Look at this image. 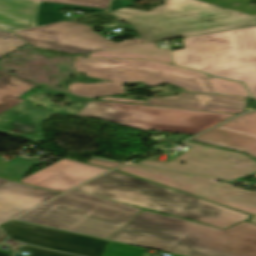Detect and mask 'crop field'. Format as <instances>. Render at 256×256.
I'll use <instances>...</instances> for the list:
<instances>
[{"label": "crop field", "instance_id": "crop-field-12", "mask_svg": "<svg viewBox=\"0 0 256 256\" xmlns=\"http://www.w3.org/2000/svg\"><path fill=\"white\" fill-rule=\"evenodd\" d=\"M8 237L81 256H102L109 241L11 220L3 226Z\"/></svg>", "mask_w": 256, "mask_h": 256}, {"label": "crop field", "instance_id": "crop-field-1", "mask_svg": "<svg viewBox=\"0 0 256 256\" xmlns=\"http://www.w3.org/2000/svg\"><path fill=\"white\" fill-rule=\"evenodd\" d=\"M108 239L186 256H256V226L226 231L144 210Z\"/></svg>", "mask_w": 256, "mask_h": 256}, {"label": "crop field", "instance_id": "crop-field-15", "mask_svg": "<svg viewBox=\"0 0 256 256\" xmlns=\"http://www.w3.org/2000/svg\"><path fill=\"white\" fill-rule=\"evenodd\" d=\"M41 1L107 9L110 0H0V31L36 26Z\"/></svg>", "mask_w": 256, "mask_h": 256}, {"label": "crop field", "instance_id": "crop-field-13", "mask_svg": "<svg viewBox=\"0 0 256 256\" xmlns=\"http://www.w3.org/2000/svg\"><path fill=\"white\" fill-rule=\"evenodd\" d=\"M190 141L244 152L256 158V112L241 115Z\"/></svg>", "mask_w": 256, "mask_h": 256}, {"label": "crop field", "instance_id": "crop-field-18", "mask_svg": "<svg viewBox=\"0 0 256 256\" xmlns=\"http://www.w3.org/2000/svg\"><path fill=\"white\" fill-rule=\"evenodd\" d=\"M87 57L153 59L172 64L169 49L159 50L155 42L93 52Z\"/></svg>", "mask_w": 256, "mask_h": 256}, {"label": "crop field", "instance_id": "crop-field-28", "mask_svg": "<svg viewBox=\"0 0 256 256\" xmlns=\"http://www.w3.org/2000/svg\"><path fill=\"white\" fill-rule=\"evenodd\" d=\"M7 181H9V180H5V179H1V178H0V185L3 184V183H5V182H7Z\"/></svg>", "mask_w": 256, "mask_h": 256}, {"label": "crop field", "instance_id": "crop-field-7", "mask_svg": "<svg viewBox=\"0 0 256 256\" xmlns=\"http://www.w3.org/2000/svg\"><path fill=\"white\" fill-rule=\"evenodd\" d=\"M144 131L195 135L235 115L90 101L76 114Z\"/></svg>", "mask_w": 256, "mask_h": 256}, {"label": "crop field", "instance_id": "crop-field-29", "mask_svg": "<svg viewBox=\"0 0 256 256\" xmlns=\"http://www.w3.org/2000/svg\"><path fill=\"white\" fill-rule=\"evenodd\" d=\"M254 175H255V174H254ZM254 177H256V175H255Z\"/></svg>", "mask_w": 256, "mask_h": 256}, {"label": "crop field", "instance_id": "crop-field-25", "mask_svg": "<svg viewBox=\"0 0 256 256\" xmlns=\"http://www.w3.org/2000/svg\"><path fill=\"white\" fill-rule=\"evenodd\" d=\"M116 26H120V23L119 22L111 23V24H108V25H105V26H100L98 28L102 29V28L109 27L108 30H111V28L116 27Z\"/></svg>", "mask_w": 256, "mask_h": 256}, {"label": "crop field", "instance_id": "crop-field-5", "mask_svg": "<svg viewBox=\"0 0 256 256\" xmlns=\"http://www.w3.org/2000/svg\"><path fill=\"white\" fill-rule=\"evenodd\" d=\"M175 64L244 82L256 98V27L183 38Z\"/></svg>", "mask_w": 256, "mask_h": 256}, {"label": "crop field", "instance_id": "crop-field-3", "mask_svg": "<svg viewBox=\"0 0 256 256\" xmlns=\"http://www.w3.org/2000/svg\"><path fill=\"white\" fill-rule=\"evenodd\" d=\"M151 12L122 8L111 13L129 22L145 43L256 26V16L197 0H163Z\"/></svg>", "mask_w": 256, "mask_h": 256}, {"label": "crop field", "instance_id": "crop-field-9", "mask_svg": "<svg viewBox=\"0 0 256 256\" xmlns=\"http://www.w3.org/2000/svg\"><path fill=\"white\" fill-rule=\"evenodd\" d=\"M36 86L0 71V133L34 143L44 140L42 124L55 113L34 107L19 98Z\"/></svg>", "mask_w": 256, "mask_h": 256}, {"label": "crop field", "instance_id": "crop-field-21", "mask_svg": "<svg viewBox=\"0 0 256 256\" xmlns=\"http://www.w3.org/2000/svg\"><path fill=\"white\" fill-rule=\"evenodd\" d=\"M210 80L220 94L248 97L241 84L215 78H210Z\"/></svg>", "mask_w": 256, "mask_h": 256}, {"label": "crop field", "instance_id": "crop-field-16", "mask_svg": "<svg viewBox=\"0 0 256 256\" xmlns=\"http://www.w3.org/2000/svg\"><path fill=\"white\" fill-rule=\"evenodd\" d=\"M204 94L180 92L178 96L149 98L145 105L202 110ZM207 95L206 110L238 114L244 111L246 99L227 96Z\"/></svg>", "mask_w": 256, "mask_h": 256}, {"label": "crop field", "instance_id": "crop-field-24", "mask_svg": "<svg viewBox=\"0 0 256 256\" xmlns=\"http://www.w3.org/2000/svg\"><path fill=\"white\" fill-rule=\"evenodd\" d=\"M102 100H111V101H120V102H130V103H139L144 104L145 101L142 100H133V99H123V98H113V97H106L101 98Z\"/></svg>", "mask_w": 256, "mask_h": 256}, {"label": "crop field", "instance_id": "crop-field-14", "mask_svg": "<svg viewBox=\"0 0 256 256\" xmlns=\"http://www.w3.org/2000/svg\"><path fill=\"white\" fill-rule=\"evenodd\" d=\"M107 170L109 169L64 159L21 179L20 182L62 193Z\"/></svg>", "mask_w": 256, "mask_h": 256}, {"label": "crop field", "instance_id": "crop-field-22", "mask_svg": "<svg viewBox=\"0 0 256 256\" xmlns=\"http://www.w3.org/2000/svg\"><path fill=\"white\" fill-rule=\"evenodd\" d=\"M21 249H26V250L33 251L30 256H72V255H67V254H63V253H58V252H53V251H49V250L36 248V247H33V246H29V245H25ZM16 256H22V255H19L17 253Z\"/></svg>", "mask_w": 256, "mask_h": 256}, {"label": "crop field", "instance_id": "crop-field-27", "mask_svg": "<svg viewBox=\"0 0 256 256\" xmlns=\"http://www.w3.org/2000/svg\"><path fill=\"white\" fill-rule=\"evenodd\" d=\"M206 96L204 95L202 109H205Z\"/></svg>", "mask_w": 256, "mask_h": 256}, {"label": "crop field", "instance_id": "crop-field-8", "mask_svg": "<svg viewBox=\"0 0 256 256\" xmlns=\"http://www.w3.org/2000/svg\"><path fill=\"white\" fill-rule=\"evenodd\" d=\"M127 174L202 198L248 214L249 222L256 223V192L245 191L215 179L164 171L137 165L116 169Z\"/></svg>", "mask_w": 256, "mask_h": 256}, {"label": "crop field", "instance_id": "crop-field-10", "mask_svg": "<svg viewBox=\"0 0 256 256\" xmlns=\"http://www.w3.org/2000/svg\"><path fill=\"white\" fill-rule=\"evenodd\" d=\"M91 26L72 22H60L14 32L28 44L71 55L109 48L142 44V38L122 41L119 44L105 40L92 32Z\"/></svg>", "mask_w": 256, "mask_h": 256}, {"label": "crop field", "instance_id": "crop-field-2", "mask_svg": "<svg viewBox=\"0 0 256 256\" xmlns=\"http://www.w3.org/2000/svg\"><path fill=\"white\" fill-rule=\"evenodd\" d=\"M74 190L184 217L222 229L249 218L245 213L115 171Z\"/></svg>", "mask_w": 256, "mask_h": 256}, {"label": "crop field", "instance_id": "crop-field-17", "mask_svg": "<svg viewBox=\"0 0 256 256\" xmlns=\"http://www.w3.org/2000/svg\"><path fill=\"white\" fill-rule=\"evenodd\" d=\"M59 193L10 181L0 186V222Z\"/></svg>", "mask_w": 256, "mask_h": 256}, {"label": "crop field", "instance_id": "crop-field-19", "mask_svg": "<svg viewBox=\"0 0 256 256\" xmlns=\"http://www.w3.org/2000/svg\"><path fill=\"white\" fill-rule=\"evenodd\" d=\"M145 251V249L110 241L103 256H142Z\"/></svg>", "mask_w": 256, "mask_h": 256}, {"label": "crop field", "instance_id": "crop-field-26", "mask_svg": "<svg viewBox=\"0 0 256 256\" xmlns=\"http://www.w3.org/2000/svg\"><path fill=\"white\" fill-rule=\"evenodd\" d=\"M5 236L2 234V232L0 231V241L4 238ZM0 256H12L11 254H5L3 252H0Z\"/></svg>", "mask_w": 256, "mask_h": 256}, {"label": "crop field", "instance_id": "crop-field-6", "mask_svg": "<svg viewBox=\"0 0 256 256\" xmlns=\"http://www.w3.org/2000/svg\"><path fill=\"white\" fill-rule=\"evenodd\" d=\"M141 210L72 190L16 220L108 238Z\"/></svg>", "mask_w": 256, "mask_h": 256}, {"label": "crop field", "instance_id": "crop-field-20", "mask_svg": "<svg viewBox=\"0 0 256 256\" xmlns=\"http://www.w3.org/2000/svg\"><path fill=\"white\" fill-rule=\"evenodd\" d=\"M27 44L14 33L0 32V58Z\"/></svg>", "mask_w": 256, "mask_h": 256}, {"label": "crop field", "instance_id": "crop-field-11", "mask_svg": "<svg viewBox=\"0 0 256 256\" xmlns=\"http://www.w3.org/2000/svg\"><path fill=\"white\" fill-rule=\"evenodd\" d=\"M183 145L192 147L169 163L153 161L157 157L154 156L138 162V164L217 176L231 180L256 172V162L241 153L189 142ZM180 161L185 163L179 165Z\"/></svg>", "mask_w": 256, "mask_h": 256}, {"label": "crop field", "instance_id": "crop-field-4", "mask_svg": "<svg viewBox=\"0 0 256 256\" xmlns=\"http://www.w3.org/2000/svg\"><path fill=\"white\" fill-rule=\"evenodd\" d=\"M76 71L85 72L93 78H104L111 82L94 84L74 83L68 85L74 95L95 98L102 95H117L124 92V82H146L152 86L170 83L186 91L216 93L209 78L201 72L193 71L153 60L74 58Z\"/></svg>", "mask_w": 256, "mask_h": 256}, {"label": "crop field", "instance_id": "crop-field-23", "mask_svg": "<svg viewBox=\"0 0 256 256\" xmlns=\"http://www.w3.org/2000/svg\"><path fill=\"white\" fill-rule=\"evenodd\" d=\"M86 163L102 166V167H108V168H113L117 165H120L121 163L113 162V161H104L100 159L93 158ZM118 167V166H117Z\"/></svg>", "mask_w": 256, "mask_h": 256}]
</instances>
